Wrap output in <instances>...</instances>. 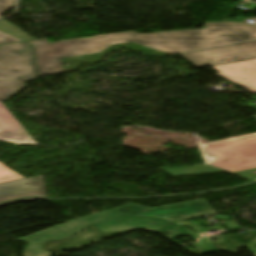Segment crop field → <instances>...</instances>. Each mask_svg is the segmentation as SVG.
I'll list each match as a JSON object with an SVG mask.
<instances>
[{
  "instance_id": "1",
  "label": "crop field",
  "mask_w": 256,
  "mask_h": 256,
  "mask_svg": "<svg viewBox=\"0 0 256 256\" xmlns=\"http://www.w3.org/2000/svg\"><path fill=\"white\" fill-rule=\"evenodd\" d=\"M206 29L136 35L134 31L49 42L33 45L40 77L63 73L61 58L100 52L110 45L134 42L169 54L256 40V25L238 22L205 23Z\"/></svg>"
},
{
  "instance_id": "2",
  "label": "crop field",
  "mask_w": 256,
  "mask_h": 256,
  "mask_svg": "<svg viewBox=\"0 0 256 256\" xmlns=\"http://www.w3.org/2000/svg\"><path fill=\"white\" fill-rule=\"evenodd\" d=\"M213 214H215V212L204 199L156 207L153 209L130 203L111 210L80 218L50 229H46L19 239L28 243L23 251L24 256H50L51 252L44 251L42 247L46 241L63 239L109 217L124 215L151 216L163 218L173 223Z\"/></svg>"
},
{
  "instance_id": "3",
  "label": "crop field",
  "mask_w": 256,
  "mask_h": 256,
  "mask_svg": "<svg viewBox=\"0 0 256 256\" xmlns=\"http://www.w3.org/2000/svg\"><path fill=\"white\" fill-rule=\"evenodd\" d=\"M202 151L214 156L209 165L166 169L174 175L227 171L251 181L256 180V135L205 144Z\"/></svg>"
},
{
  "instance_id": "4",
  "label": "crop field",
  "mask_w": 256,
  "mask_h": 256,
  "mask_svg": "<svg viewBox=\"0 0 256 256\" xmlns=\"http://www.w3.org/2000/svg\"><path fill=\"white\" fill-rule=\"evenodd\" d=\"M39 77L31 46L21 42L0 46V100H8L23 83Z\"/></svg>"
},
{
  "instance_id": "5",
  "label": "crop field",
  "mask_w": 256,
  "mask_h": 256,
  "mask_svg": "<svg viewBox=\"0 0 256 256\" xmlns=\"http://www.w3.org/2000/svg\"><path fill=\"white\" fill-rule=\"evenodd\" d=\"M181 56L197 67L252 59L256 58V41L181 54Z\"/></svg>"
},
{
  "instance_id": "6",
  "label": "crop field",
  "mask_w": 256,
  "mask_h": 256,
  "mask_svg": "<svg viewBox=\"0 0 256 256\" xmlns=\"http://www.w3.org/2000/svg\"><path fill=\"white\" fill-rule=\"evenodd\" d=\"M28 198H46L42 176L0 184V205Z\"/></svg>"
},
{
  "instance_id": "7",
  "label": "crop field",
  "mask_w": 256,
  "mask_h": 256,
  "mask_svg": "<svg viewBox=\"0 0 256 256\" xmlns=\"http://www.w3.org/2000/svg\"><path fill=\"white\" fill-rule=\"evenodd\" d=\"M217 75L256 90V59L211 66Z\"/></svg>"
},
{
  "instance_id": "8",
  "label": "crop field",
  "mask_w": 256,
  "mask_h": 256,
  "mask_svg": "<svg viewBox=\"0 0 256 256\" xmlns=\"http://www.w3.org/2000/svg\"><path fill=\"white\" fill-rule=\"evenodd\" d=\"M169 224L170 223L166 221L148 217H121L103 221L101 223L95 224V226L103 233L133 228L158 232Z\"/></svg>"
},
{
  "instance_id": "9",
  "label": "crop field",
  "mask_w": 256,
  "mask_h": 256,
  "mask_svg": "<svg viewBox=\"0 0 256 256\" xmlns=\"http://www.w3.org/2000/svg\"><path fill=\"white\" fill-rule=\"evenodd\" d=\"M0 130L1 138L21 142L30 137L28 142L37 144L3 102H0Z\"/></svg>"
},
{
  "instance_id": "10",
  "label": "crop field",
  "mask_w": 256,
  "mask_h": 256,
  "mask_svg": "<svg viewBox=\"0 0 256 256\" xmlns=\"http://www.w3.org/2000/svg\"><path fill=\"white\" fill-rule=\"evenodd\" d=\"M15 26L5 20L0 21V30L1 31L8 33L10 35H13L17 38L23 39V40L33 39Z\"/></svg>"
},
{
  "instance_id": "11",
  "label": "crop field",
  "mask_w": 256,
  "mask_h": 256,
  "mask_svg": "<svg viewBox=\"0 0 256 256\" xmlns=\"http://www.w3.org/2000/svg\"><path fill=\"white\" fill-rule=\"evenodd\" d=\"M18 179H24V177L0 163V183Z\"/></svg>"
},
{
  "instance_id": "12",
  "label": "crop field",
  "mask_w": 256,
  "mask_h": 256,
  "mask_svg": "<svg viewBox=\"0 0 256 256\" xmlns=\"http://www.w3.org/2000/svg\"><path fill=\"white\" fill-rule=\"evenodd\" d=\"M14 7V0H0V19L1 15Z\"/></svg>"
},
{
  "instance_id": "13",
  "label": "crop field",
  "mask_w": 256,
  "mask_h": 256,
  "mask_svg": "<svg viewBox=\"0 0 256 256\" xmlns=\"http://www.w3.org/2000/svg\"><path fill=\"white\" fill-rule=\"evenodd\" d=\"M21 41L13 36L0 32V44Z\"/></svg>"
},
{
  "instance_id": "14",
  "label": "crop field",
  "mask_w": 256,
  "mask_h": 256,
  "mask_svg": "<svg viewBox=\"0 0 256 256\" xmlns=\"http://www.w3.org/2000/svg\"><path fill=\"white\" fill-rule=\"evenodd\" d=\"M255 245L256 239L245 245L254 256H256V247H254Z\"/></svg>"
},
{
  "instance_id": "15",
  "label": "crop field",
  "mask_w": 256,
  "mask_h": 256,
  "mask_svg": "<svg viewBox=\"0 0 256 256\" xmlns=\"http://www.w3.org/2000/svg\"><path fill=\"white\" fill-rule=\"evenodd\" d=\"M236 138V137H235ZM231 139V138H230ZM201 146L202 145H199V147H200V149H201ZM202 153V155H203V157H204V159H205V161H206V164H209L211 161H212V159H213V157H211V156H209V155H207V154H205V153H203V152H201Z\"/></svg>"
},
{
  "instance_id": "16",
  "label": "crop field",
  "mask_w": 256,
  "mask_h": 256,
  "mask_svg": "<svg viewBox=\"0 0 256 256\" xmlns=\"http://www.w3.org/2000/svg\"><path fill=\"white\" fill-rule=\"evenodd\" d=\"M0 140L7 141V142H11V143H15V144H21V143H17V142L9 141V140L1 139V138H0Z\"/></svg>"
},
{
  "instance_id": "17",
  "label": "crop field",
  "mask_w": 256,
  "mask_h": 256,
  "mask_svg": "<svg viewBox=\"0 0 256 256\" xmlns=\"http://www.w3.org/2000/svg\"><path fill=\"white\" fill-rule=\"evenodd\" d=\"M28 140V139H27ZM27 140L23 141V143H28Z\"/></svg>"
}]
</instances>
